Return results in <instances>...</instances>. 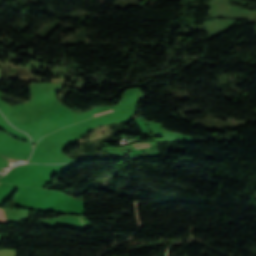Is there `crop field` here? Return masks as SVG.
I'll return each instance as SVG.
<instances>
[{"label":"crop field","mask_w":256,"mask_h":256,"mask_svg":"<svg viewBox=\"0 0 256 256\" xmlns=\"http://www.w3.org/2000/svg\"><path fill=\"white\" fill-rule=\"evenodd\" d=\"M0 222H6L5 213L3 208H0Z\"/></svg>","instance_id":"obj_1"},{"label":"crop field","mask_w":256,"mask_h":256,"mask_svg":"<svg viewBox=\"0 0 256 256\" xmlns=\"http://www.w3.org/2000/svg\"><path fill=\"white\" fill-rule=\"evenodd\" d=\"M107 111H105V112H102V113H99V114H103V113H106ZM99 114H96V115H99ZM96 115H93V116H96ZM93 116H90V117H93ZM89 117V118H90Z\"/></svg>","instance_id":"obj_2"}]
</instances>
